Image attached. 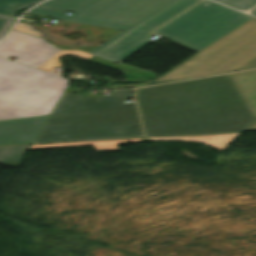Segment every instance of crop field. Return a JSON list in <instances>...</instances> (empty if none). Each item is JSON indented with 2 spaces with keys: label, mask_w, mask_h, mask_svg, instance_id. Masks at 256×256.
I'll return each mask as SVG.
<instances>
[{
  "label": "crop field",
  "mask_w": 256,
  "mask_h": 256,
  "mask_svg": "<svg viewBox=\"0 0 256 256\" xmlns=\"http://www.w3.org/2000/svg\"><path fill=\"white\" fill-rule=\"evenodd\" d=\"M136 96L147 136L245 131L255 120L229 74L147 87Z\"/></svg>",
  "instance_id": "obj_1"
},
{
  "label": "crop field",
  "mask_w": 256,
  "mask_h": 256,
  "mask_svg": "<svg viewBox=\"0 0 256 256\" xmlns=\"http://www.w3.org/2000/svg\"><path fill=\"white\" fill-rule=\"evenodd\" d=\"M62 94L33 143L143 136L133 90L101 98Z\"/></svg>",
  "instance_id": "obj_2"
},
{
  "label": "crop field",
  "mask_w": 256,
  "mask_h": 256,
  "mask_svg": "<svg viewBox=\"0 0 256 256\" xmlns=\"http://www.w3.org/2000/svg\"><path fill=\"white\" fill-rule=\"evenodd\" d=\"M177 1L51 0L39 6L75 13L68 16L65 15L66 12L45 8H34L30 13L46 15L56 20L124 30L90 52L95 54Z\"/></svg>",
  "instance_id": "obj_3"
},
{
  "label": "crop field",
  "mask_w": 256,
  "mask_h": 256,
  "mask_svg": "<svg viewBox=\"0 0 256 256\" xmlns=\"http://www.w3.org/2000/svg\"><path fill=\"white\" fill-rule=\"evenodd\" d=\"M68 81L0 58V120L50 114Z\"/></svg>",
  "instance_id": "obj_4"
},
{
  "label": "crop field",
  "mask_w": 256,
  "mask_h": 256,
  "mask_svg": "<svg viewBox=\"0 0 256 256\" xmlns=\"http://www.w3.org/2000/svg\"><path fill=\"white\" fill-rule=\"evenodd\" d=\"M256 68V19L223 36L155 81L203 77Z\"/></svg>",
  "instance_id": "obj_5"
},
{
  "label": "crop field",
  "mask_w": 256,
  "mask_h": 256,
  "mask_svg": "<svg viewBox=\"0 0 256 256\" xmlns=\"http://www.w3.org/2000/svg\"><path fill=\"white\" fill-rule=\"evenodd\" d=\"M252 17L203 0L155 31L169 42L200 51Z\"/></svg>",
  "instance_id": "obj_6"
},
{
  "label": "crop field",
  "mask_w": 256,
  "mask_h": 256,
  "mask_svg": "<svg viewBox=\"0 0 256 256\" xmlns=\"http://www.w3.org/2000/svg\"><path fill=\"white\" fill-rule=\"evenodd\" d=\"M68 54L85 60L93 56L77 50H58L42 38L14 30L0 42V56H13L14 61L46 71L61 67L59 58Z\"/></svg>",
  "instance_id": "obj_7"
},
{
  "label": "crop field",
  "mask_w": 256,
  "mask_h": 256,
  "mask_svg": "<svg viewBox=\"0 0 256 256\" xmlns=\"http://www.w3.org/2000/svg\"><path fill=\"white\" fill-rule=\"evenodd\" d=\"M200 0H180L95 55L122 61L146 44L150 32Z\"/></svg>",
  "instance_id": "obj_8"
},
{
  "label": "crop field",
  "mask_w": 256,
  "mask_h": 256,
  "mask_svg": "<svg viewBox=\"0 0 256 256\" xmlns=\"http://www.w3.org/2000/svg\"><path fill=\"white\" fill-rule=\"evenodd\" d=\"M240 134L241 133L212 135V136H200V137L139 138V139H125V140H111V141H97V142L40 144V145H31L29 150L92 145L98 152H105V151L121 150L116 143L147 141V140H157V141L183 140V141H194V142L207 144V145H210V146L214 147L215 149L221 151L223 149H226Z\"/></svg>",
  "instance_id": "obj_9"
},
{
  "label": "crop field",
  "mask_w": 256,
  "mask_h": 256,
  "mask_svg": "<svg viewBox=\"0 0 256 256\" xmlns=\"http://www.w3.org/2000/svg\"><path fill=\"white\" fill-rule=\"evenodd\" d=\"M48 115L0 121V145L32 143Z\"/></svg>",
  "instance_id": "obj_10"
},
{
  "label": "crop field",
  "mask_w": 256,
  "mask_h": 256,
  "mask_svg": "<svg viewBox=\"0 0 256 256\" xmlns=\"http://www.w3.org/2000/svg\"><path fill=\"white\" fill-rule=\"evenodd\" d=\"M256 119V70L230 74ZM256 130V120L246 130Z\"/></svg>",
  "instance_id": "obj_11"
},
{
  "label": "crop field",
  "mask_w": 256,
  "mask_h": 256,
  "mask_svg": "<svg viewBox=\"0 0 256 256\" xmlns=\"http://www.w3.org/2000/svg\"><path fill=\"white\" fill-rule=\"evenodd\" d=\"M29 146L0 147V163L18 168Z\"/></svg>",
  "instance_id": "obj_12"
},
{
  "label": "crop field",
  "mask_w": 256,
  "mask_h": 256,
  "mask_svg": "<svg viewBox=\"0 0 256 256\" xmlns=\"http://www.w3.org/2000/svg\"><path fill=\"white\" fill-rule=\"evenodd\" d=\"M40 1L42 0H0V14L15 17L16 10Z\"/></svg>",
  "instance_id": "obj_13"
},
{
  "label": "crop field",
  "mask_w": 256,
  "mask_h": 256,
  "mask_svg": "<svg viewBox=\"0 0 256 256\" xmlns=\"http://www.w3.org/2000/svg\"><path fill=\"white\" fill-rule=\"evenodd\" d=\"M232 7H235L239 10H247L252 6L256 5V0H215Z\"/></svg>",
  "instance_id": "obj_14"
},
{
  "label": "crop field",
  "mask_w": 256,
  "mask_h": 256,
  "mask_svg": "<svg viewBox=\"0 0 256 256\" xmlns=\"http://www.w3.org/2000/svg\"><path fill=\"white\" fill-rule=\"evenodd\" d=\"M15 19L6 18L0 16V38L5 34V32L10 28Z\"/></svg>",
  "instance_id": "obj_15"
},
{
  "label": "crop field",
  "mask_w": 256,
  "mask_h": 256,
  "mask_svg": "<svg viewBox=\"0 0 256 256\" xmlns=\"http://www.w3.org/2000/svg\"><path fill=\"white\" fill-rule=\"evenodd\" d=\"M14 29L19 30V31H23V32H26V33H29V34H33V35H36V36H39V37L42 36V34L40 32L33 30L29 25L23 24V23H20V22H18V24L15 26Z\"/></svg>",
  "instance_id": "obj_16"
},
{
  "label": "crop field",
  "mask_w": 256,
  "mask_h": 256,
  "mask_svg": "<svg viewBox=\"0 0 256 256\" xmlns=\"http://www.w3.org/2000/svg\"><path fill=\"white\" fill-rule=\"evenodd\" d=\"M175 81H178V80H175ZM165 82H171V81H165ZM165 82H155V83H149V84H147V85H153V84H159V83H165ZM146 85V86H147Z\"/></svg>",
  "instance_id": "obj_17"
},
{
  "label": "crop field",
  "mask_w": 256,
  "mask_h": 256,
  "mask_svg": "<svg viewBox=\"0 0 256 256\" xmlns=\"http://www.w3.org/2000/svg\"><path fill=\"white\" fill-rule=\"evenodd\" d=\"M251 14H253V15L256 16V9L252 10V11H251Z\"/></svg>",
  "instance_id": "obj_18"
}]
</instances>
